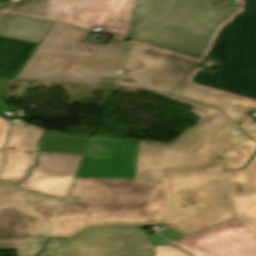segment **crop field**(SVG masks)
<instances>
[{
  "label": "crop field",
  "instance_id": "19",
  "mask_svg": "<svg viewBox=\"0 0 256 256\" xmlns=\"http://www.w3.org/2000/svg\"><path fill=\"white\" fill-rule=\"evenodd\" d=\"M39 152L7 150V161L0 181L16 185L28 176V170L36 165Z\"/></svg>",
  "mask_w": 256,
  "mask_h": 256
},
{
  "label": "crop field",
  "instance_id": "16",
  "mask_svg": "<svg viewBox=\"0 0 256 256\" xmlns=\"http://www.w3.org/2000/svg\"><path fill=\"white\" fill-rule=\"evenodd\" d=\"M243 55L239 71L256 88V0H244Z\"/></svg>",
  "mask_w": 256,
  "mask_h": 256
},
{
  "label": "crop field",
  "instance_id": "26",
  "mask_svg": "<svg viewBox=\"0 0 256 256\" xmlns=\"http://www.w3.org/2000/svg\"><path fill=\"white\" fill-rule=\"evenodd\" d=\"M8 124L4 120L0 119V148L4 147Z\"/></svg>",
  "mask_w": 256,
  "mask_h": 256
},
{
  "label": "crop field",
  "instance_id": "20",
  "mask_svg": "<svg viewBox=\"0 0 256 256\" xmlns=\"http://www.w3.org/2000/svg\"><path fill=\"white\" fill-rule=\"evenodd\" d=\"M89 140L65 137L56 131H46L40 143L41 151L83 154Z\"/></svg>",
  "mask_w": 256,
  "mask_h": 256
},
{
  "label": "crop field",
  "instance_id": "3",
  "mask_svg": "<svg viewBox=\"0 0 256 256\" xmlns=\"http://www.w3.org/2000/svg\"><path fill=\"white\" fill-rule=\"evenodd\" d=\"M76 176L48 237L71 238L86 227L143 225L159 182Z\"/></svg>",
  "mask_w": 256,
  "mask_h": 256
},
{
  "label": "crop field",
  "instance_id": "2",
  "mask_svg": "<svg viewBox=\"0 0 256 256\" xmlns=\"http://www.w3.org/2000/svg\"><path fill=\"white\" fill-rule=\"evenodd\" d=\"M217 0H136L127 38L203 58L217 29L238 10Z\"/></svg>",
  "mask_w": 256,
  "mask_h": 256
},
{
  "label": "crop field",
  "instance_id": "17",
  "mask_svg": "<svg viewBox=\"0 0 256 256\" xmlns=\"http://www.w3.org/2000/svg\"><path fill=\"white\" fill-rule=\"evenodd\" d=\"M51 20L6 13L0 19V35L39 43Z\"/></svg>",
  "mask_w": 256,
  "mask_h": 256
},
{
  "label": "crop field",
  "instance_id": "18",
  "mask_svg": "<svg viewBox=\"0 0 256 256\" xmlns=\"http://www.w3.org/2000/svg\"><path fill=\"white\" fill-rule=\"evenodd\" d=\"M37 44L0 37V77H16Z\"/></svg>",
  "mask_w": 256,
  "mask_h": 256
},
{
  "label": "crop field",
  "instance_id": "21",
  "mask_svg": "<svg viewBox=\"0 0 256 256\" xmlns=\"http://www.w3.org/2000/svg\"><path fill=\"white\" fill-rule=\"evenodd\" d=\"M44 130L30 124L21 126L12 125L7 149L39 151L37 143Z\"/></svg>",
  "mask_w": 256,
  "mask_h": 256
},
{
  "label": "crop field",
  "instance_id": "9",
  "mask_svg": "<svg viewBox=\"0 0 256 256\" xmlns=\"http://www.w3.org/2000/svg\"><path fill=\"white\" fill-rule=\"evenodd\" d=\"M242 12L216 36L207 57L219 60L211 73L197 71L192 81L211 88L256 99V89L238 71L242 55Z\"/></svg>",
  "mask_w": 256,
  "mask_h": 256
},
{
  "label": "crop field",
  "instance_id": "4",
  "mask_svg": "<svg viewBox=\"0 0 256 256\" xmlns=\"http://www.w3.org/2000/svg\"><path fill=\"white\" fill-rule=\"evenodd\" d=\"M88 33L55 22L18 78L87 84L114 79L124 40L113 38L104 45L85 41Z\"/></svg>",
  "mask_w": 256,
  "mask_h": 256
},
{
  "label": "crop field",
  "instance_id": "27",
  "mask_svg": "<svg viewBox=\"0 0 256 256\" xmlns=\"http://www.w3.org/2000/svg\"><path fill=\"white\" fill-rule=\"evenodd\" d=\"M243 131L247 133L250 137H253L256 135V123L251 121L243 126H241Z\"/></svg>",
  "mask_w": 256,
  "mask_h": 256
},
{
  "label": "crop field",
  "instance_id": "30",
  "mask_svg": "<svg viewBox=\"0 0 256 256\" xmlns=\"http://www.w3.org/2000/svg\"><path fill=\"white\" fill-rule=\"evenodd\" d=\"M4 9H5V8L0 7V14L3 12Z\"/></svg>",
  "mask_w": 256,
  "mask_h": 256
},
{
  "label": "crop field",
  "instance_id": "15",
  "mask_svg": "<svg viewBox=\"0 0 256 256\" xmlns=\"http://www.w3.org/2000/svg\"><path fill=\"white\" fill-rule=\"evenodd\" d=\"M173 95L216 106L238 125L248 120L246 113L256 111V102L191 83H187Z\"/></svg>",
  "mask_w": 256,
  "mask_h": 256
},
{
  "label": "crop field",
  "instance_id": "22",
  "mask_svg": "<svg viewBox=\"0 0 256 256\" xmlns=\"http://www.w3.org/2000/svg\"><path fill=\"white\" fill-rule=\"evenodd\" d=\"M48 240L49 238L46 236L1 240L0 250L17 249L19 256H36L39 252H41L43 244Z\"/></svg>",
  "mask_w": 256,
  "mask_h": 256
},
{
  "label": "crop field",
  "instance_id": "29",
  "mask_svg": "<svg viewBox=\"0 0 256 256\" xmlns=\"http://www.w3.org/2000/svg\"><path fill=\"white\" fill-rule=\"evenodd\" d=\"M3 155H4L3 149H0V168H1L2 163H3Z\"/></svg>",
  "mask_w": 256,
  "mask_h": 256
},
{
  "label": "crop field",
  "instance_id": "1",
  "mask_svg": "<svg viewBox=\"0 0 256 256\" xmlns=\"http://www.w3.org/2000/svg\"><path fill=\"white\" fill-rule=\"evenodd\" d=\"M236 221L222 158L203 169L164 171L145 225L164 222L187 239Z\"/></svg>",
  "mask_w": 256,
  "mask_h": 256
},
{
  "label": "crop field",
  "instance_id": "13",
  "mask_svg": "<svg viewBox=\"0 0 256 256\" xmlns=\"http://www.w3.org/2000/svg\"><path fill=\"white\" fill-rule=\"evenodd\" d=\"M83 155L40 152L38 165L18 186L66 198Z\"/></svg>",
  "mask_w": 256,
  "mask_h": 256
},
{
  "label": "crop field",
  "instance_id": "23",
  "mask_svg": "<svg viewBox=\"0 0 256 256\" xmlns=\"http://www.w3.org/2000/svg\"><path fill=\"white\" fill-rule=\"evenodd\" d=\"M256 151V143L248 140L222 156L225 169L241 168Z\"/></svg>",
  "mask_w": 256,
  "mask_h": 256
},
{
  "label": "crop field",
  "instance_id": "24",
  "mask_svg": "<svg viewBox=\"0 0 256 256\" xmlns=\"http://www.w3.org/2000/svg\"><path fill=\"white\" fill-rule=\"evenodd\" d=\"M155 256H189L173 245L168 246H154Z\"/></svg>",
  "mask_w": 256,
  "mask_h": 256
},
{
  "label": "crop field",
  "instance_id": "12",
  "mask_svg": "<svg viewBox=\"0 0 256 256\" xmlns=\"http://www.w3.org/2000/svg\"><path fill=\"white\" fill-rule=\"evenodd\" d=\"M193 256H256V234L233 222L176 243Z\"/></svg>",
  "mask_w": 256,
  "mask_h": 256
},
{
  "label": "crop field",
  "instance_id": "8",
  "mask_svg": "<svg viewBox=\"0 0 256 256\" xmlns=\"http://www.w3.org/2000/svg\"><path fill=\"white\" fill-rule=\"evenodd\" d=\"M63 202L0 183V240L45 235Z\"/></svg>",
  "mask_w": 256,
  "mask_h": 256
},
{
  "label": "crop field",
  "instance_id": "6",
  "mask_svg": "<svg viewBox=\"0 0 256 256\" xmlns=\"http://www.w3.org/2000/svg\"><path fill=\"white\" fill-rule=\"evenodd\" d=\"M199 61L125 41L113 90H150L163 97L182 87Z\"/></svg>",
  "mask_w": 256,
  "mask_h": 256
},
{
  "label": "crop field",
  "instance_id": "28",
  "mask_svg": "<svg viewBox=\"0 0 256 256\" xmlns=\"http://www.w3.org/2000/svg\"><path fill=\"white\" fill-rule=\"evenodd\" d=\"M7 79H8V78H0V114H2V115H5V114H4V111H8L6 105H5L4 102L1 100L3 87H4L5 81H6Z\"/></svg>",
  "mask_w": 256,
  "mask_h": 256
},
{
  "label": "crop field",
  "instance_id": "7",
  "mask_svg": "<svg viewBox=\"0 0 256 256\" xmlns=\"http://www.w3.org/2000/svg\"><path fill=\"white\" fill-rule=\"evenodd\" d=\"M135 0H33L11 3L9 11L38 15L74 23L121 38L127 28Z\"/></svg>",
  "mask_w": 256,
  "mask_h": 256
},
{
  "label": "crop field",
  "instance_id": "10",
  "mask_svg": "<svg viewBox=\"0 0 256 256\" xmlns=\"http://www.w3.org/2000/svg\"><path fill=\"white\" fill-rule=\"evenodd\" d=\"M154 254L140 227L109 226L85 230L72 239H61L56 256H136Z\"/></svg>",
  "mask_w": 256,
  "mask_h": 256
},
{
  "label": "crop field",
  "instance_id": "14",
  "mask_svg": "<svg viewBox=\"0 0 256 256\" xmlns=\"http://www.w3.org/2000/svg\"><path fill=\"white\" fill-rule=\"evenodd\" d=\"M226 175L237 220L256 233V154L243 170Z\"/></svg>",
  "mask_w": 256,
  "mask_h": 256
},
{
  "label": "crop field",
  "instance_id": "5",
  "mask_svg": "<svg viewBox=\"0 0 256 256\" xmlns=\"http://www.w3.org/2000/svg\"><path fill=\"white\" fill-rule=\"evenodd\" d=\"M168 99L194 107L189 112L201 120L169 145L141 141L134 181H159L164 170L202 168L249 139L238 128L229 134L236 126L214 107Z\"/></svg>",
  "mask_w": 256,
  "mask_h": 256
},
{
  "label": "crop field",
  "instance_id": "31",
  "mask_svg": "<svg viewBox=\"0 0 256 256\" xmlns=\"http://www.w3.org/2000/svg\"><path fill=\"white\" fill-rule=\"evenodd\" d=\"M252 139H254V140L256 141V136H255V137H253Z\"/></svg>",
  "mask_w": 256,
  "mask_h": 256
},
{
  "label": "crop field",
  "instance_id": "25",
  "mask_svg": "<svg viewBox=\"0 0 256 256\" xmlns=\"http://www.w3.org/2000/svg\"><path fill=\"white\" fill-rule=\"evenodd\" d=\"M61 238L51 239V241L45 244L46 249L40 256H55ZM154 256V255H149Z\"/></svg>",
  "mask_w": 256,
  "mask_h": 256
},
{
  "label": "crop field",
  "instance_id": "11",
  "mask_svg": "<svg viewBox=\"0 0 256 256\" xmlns=\"http://www.w3.org/2000/svg\"><path fill=\"white\" fill-rule=\"evenodd\" d=\"M140 140L92 138L76 175L134 177Z\"/></svg>",
  "mask_w": 256,
  "mask_h": 256
}]
</instances>
